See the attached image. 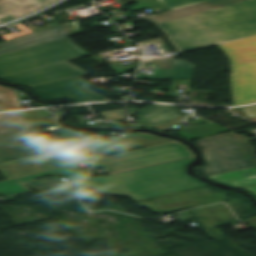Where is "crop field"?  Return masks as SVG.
<instances>
[{"label": "crop field", "instance_id": "crop-field-1", "mask_svg": "<svg viewBox=\"0 0 256 256\" xmlns=\"http://www.w3.org/2000/svg\"><path fill=\"white\" fill-rule=\"evenodd\" d=\"M89 56L68 38L0 55V80L28 87L46 101L75 103L106 98L87 87L79 76L86 72L66 61Z\"/></svg>", "mask_w": 256, "mask_h": 256}, {"label": "crop field", "instance_id": "crop-field-2", "mask_svg": "<svg viewBox=\"0 0 256 256\" xmlns=\"http://www.w3.org/2000/svg\"><path fill=\"white\" fill-rule=\"evenodd\" d=\"M181 53L256 35V0L156 24Z\"/></svg>", "mask_w": 256, "mask_h": 256}, {"label": "crop field", "instance_id": "crop-field-3", "mask_svg": "<svg viewBox=\"0 0 256 256\" xmlns=\"http://www.w3.org/2000/svg\"><path fill=\"white\" fill-rule=\"evenodd\" d=\"M195 159L160 164L156 166L81 181L84 187H92L99 195L126 196L141 200L183 190L206 186L184 173L186 164Z\"/></svg>", "mask_w": 256, "mask_h": 256}, {"label": "crop field", "instance_id": "crop-field-4", "mask_svg": "<svg viewBox=\"0 0 256 256\" xmlns=\"http://www.w3.org/2000/svg\"><path fill=\"white\" fill-rule=\"evenodd\" d=\"M203 151L206 166L196 172L207 176L256 167V155L249 138L233 132L193 141Z\"/></svg>", "mask_w": 256, "mask_h": 256}, {"label": "crop field", "instance_id": "crop-field-5", "mask_svg": "<svg viewBox=\"0 0 256 256\" xmlns=\"http://www.w3.org/2000/svg\"><path fill=\"white\" fill-rule=\"evenodd\" d=\"M66 146L58 132L43 136L19 112L0 114V156L5 160Z\"/></svg>", "mask_w": 256, "mask_h": 256}, {"label": "crop field", "instance_id": "crop-field-6", "mask_svg": "<svg viewBox=\"0 0 256 256\" xmlns=\"http://www.w3.org/2000/svg\"><path fill=\"white\" fill-rule=\"evenodd\" d=\"M232 60L235 106L256 102V36L219 45Z\"/></svg>", "mask_w": 256, "mask_h": 256}, {"label": "crop field", "instance_id": "crop-field-7", "mask_svg": "<svg viewBox=\"0 0 256 256\" xmlns=\"http://www.w3.org/2000/svg\"><path fill=\"white\" fill-rule=\"evenodd\" d=\"M192 156L194 154L190 149L176 141L97 159L94 167L102 166L109 174H112Z\"/></svg>", "mask_w": 256, "mask_h": 256}, {"label": "crop field", "instance_id": "crop-field-8", "mask_svg": "<svg viewBox=\"0 0 256 256\" xmlns=\"http://www.w3.org/2000/svg\"><path fill=\"white\" fill-rule=\"evenodd\" d=\"M88 171L89 168L84 170H76L74 167L67 166L25 177L4 180L0 181V193H3L5 196H9L18 193L28 192L29 190L24 185L33 182L34 179L44 175H58L76 181L86 178L88 175Z\"/></svg>", "mask_w": 256, "mask_h": 256}, {"label": "crop field", "instance_id": "crop-field-9", "mask_svg": "<svg viewBox=\"0 0 256 256\" xmlns=\"http://www.w3.org/2000/svg\"><path fill=\"white\" fill-rule=\"evenodd\" d=\"M68 37L63 25L0 43V54Z\"/></svg>", "mask_w": 256, "mask_h": 256}, {"label": "crop field", "instance_id": "crop-field-10", "mask_svg": "<svg viewBox=\"0 0 256 256\" xmlns=\"http://www.w3.org/2000/svg\"><path fill=\"white\" fill-rule=\"evenodd\" d=\"M57 0H0V24L33 13Z\"/></svg>", "mask_w": 256, "mask_h": 256}, {"label": "crop field", "instance_id": "crop-field-11", "mask_svg": "<svg viewBox=\"0 0 256 256\" xmlns=\"http://www.w3.org/2000/svg\"><path fill=\"white\" fill-rule=\"evenodd\" d=\"M242 1H246V0H212V1L188 6V7L173 10V11H167L164 13H160L158 15H151L143 18L142 20H145L151 24H155V23H160V22L188 16L191 14L215 9L218 7H222V6H226V5H230V4H234Z\"/></svg>", "mask_w": 256, "mask_h": 256}, {"label": "crop field", "instance_id": "crop-field-12", "mask_svg": "<svg viewBox=\"0 0 256 256\" xmlns=\"http://www.w3.org/2000/svg\"><path fill=\"white\" fill-rule=\"evenodd\" d=\"M142 128L154 129L182 113L176 106L153 105L136 111Z\"/></svg>", "mask_w": 256, "mask_h": 256}, {"label": "crop field", "instance_id": "crop-field-13", "mask_svg": "<svg viewBox=\"0 0 256 256\" xmlns=\"http://www.w3.org/2000/svg\"><path fill=\"white\" fill-rule=\"evenodd\" d=\"M172 140L160 139L144 133H136L125 136V138H109L110 153L133 149L137 146L148 147Z\"/></svg>", "mask_w": 256, "mask_h": 256}, {"label": "crop field", "instance_id": "crop-field-14", "mask_svg": "<svg viewBox=\"0 0 256 256\" xmlns=\"http://www.w3.org/2000/svg\"><path fill=\"white\" fill-rule=\"evenodd\" d=\"M195 66L181 60H174L172 70L155 69L152 76L137 75L138 79L166 80L174 78H192Z\"/></svg>", "mask_w": 256, "mask_h": 256}, {"label": "crop field", "instance_id": "crop-field-15", "mask_svg": "<svg viewBox=\"0 0 256 256\" xmlns=\"http://www.w3.org/2000/svg\"><path fill=\"white\" fill-rule=\"evenodd\" d=\"M207 178L218 181L223 184H229L230 186L236 187V188L256 185V179L250 180V181L238 182L241 180L256 178V168H250V169H245L240 171L207 176ZM244 182H247V183H244Z\"/></svg>", "mask_w": 256, "mask_h": 256}, {"label": "crop field", "instance_id": "crop-field-16", "mask_svg": "<svg viewBox=\"0 0 256 256\" xmlns=\"http://www.w3.org/2000/svg\"><path fill=\"white\" fill-rule=\"evenodd\" d=\"M180 133L174 134L189 140L206 137L214 134H219L223 132H227L228 130L219 127L213 123L179 129Z\"/></svg>", "mask_w": 256, "mask_h": 256}, {"label": "crop field", "instance_id": "crop-field-17", "mask_svg": "<svg viewBox=\"0 0 256 256\" xmlns=\"http://www.w3.org/2000/svg\"><path fill=\"white\" fill-rule=\"evenodd\" d=\"M13 90L0 86V111L22 109Z\"/></svg>", "mask_w": 256, "mask_h": 256}, {"label": "crop field", "instance_id": "crop-field-18", "mask_svg": "<svg viewBox=\"0 0 256 256\" xmlns=\"http://www.w3.org/2000/svg\"><path fill=\"white\" fill-rule=\"evenodd\" d=\"M168 10L208 1V0H159Z\"/></svg>", "mask_w": 256, "mask_h": 256}, {"label": "crop field", "instance_id": "crop-field-19", "mask_svg": "<svg viewBox=\"0 0 256 256\" xmlns=\"http://www.w3.org/2000/svg\"><path fill=\"white\" fill-rule=\"evenodd\" d=\"M94 144H95L96 159L110 155L108 143H94Z\"/></svg>", "mask_w": 256, "mask_h": 256}, {"label": "crop field", "instance_id": "crop-field-20", "mask_svg": "<svg viewBox=\"0 0 256 256\" xmlns=\"http://www.w3.org/2000/svg\"><path fill=\"white\" fill-rule=\"evenodd\" d=\"M99 114L103 116L106 120L116 119V118L125 116L123 110H114V111L102 112Z\"/></svg>", "mask_w": 256, "mask_h": 256}, {"label": "crop field", "instance_id": "crop-field-21", "mask_svg": "<svg viewBox=\"0 0 256 256\" xmlns=\"http://www.w3.org/2000/svg\"><path fill=\"white\" fill-rule=\"evenodd\" d=\"M249 118L256 117V106L247 107L243 109Z\"/></svg>", "mask_w": 256, "mask_h": 256}, {"label": "crop field", "instance_id": "crop-field-22", "mask_svg": "<svg viewBox=\"0 0 256 256\" xmlns=\"http://www.w3.org/2000/svg\"><path fill=\"white\" fill-rule=\"evenodd\" d=\"M246 225L256 229V216L242 220Z\"/></svg>", "mask_w": 256, "mask_h": 256}, {"label": "crop field", "instance_id": "crop-field-23", "mask_svg": "<svg viewBox=\"0 0 256 256\" xmlns=\"http://www.w3.org/2000/svg\"><path fill=\"white\" fill-rule=\"evenodd\" d=\"M243 190L249 191V192H251L252 194H254L256 196V186L248 187V188H245Z\"/></svg>", "mask_w": 256, "mask_h": 256}, {"label": "crop field", "instance_id": "crop-field-24", "mask_svg": "<svg viewBox=\"0 0 256 256\" xmlns=\"http://www.w3.org/2000/svg\"><path fill=\"white\" fill-rule=\"evenodd\" d=\"M127 110H128L129 115H133L135 113L134 109L128 108Z\"/></svg>", "mask_w": 256, "mask_h": 256}, {"label": "crop field", "instance_id": "crop-field-25", "mask_svg": "<svg viewBox=\"0 0 256 256\" xmlns=\"http://www.w3.org/2000/svg\"><path fill=\"white\" fill-rule=\"evenodd\" d=\"M0 161H2V159L0 158Z\"/></svg>", "mask_w": 256, "mask_h": 256}]
</instances>
